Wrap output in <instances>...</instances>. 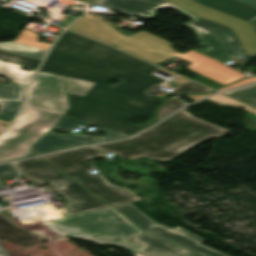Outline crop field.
Masks as SVG:
<instances>
[{
	"label": "crop field",
	"instance_id": "obj_17",
	"mask_svg": "<svg viewBox=\"0 0 256 256\" xmlns=\"http://www.w3.org/2000/svg\"><path fill=\"white\" fill-rule=\"evenodd\" d=\"M0 60L34 68V69H37L38 65L41 63L40 60L28 58L25 56L13 54V53L2 51V50H0Z\"/></svg>",
	"mask_w": 256,
	"mask_h": 256
},
{
	"label": "crop field",
	"instance_id": "obj_2",
	"mask_svg": "<svg viewBox=\"0 0 256 256\" xmlns=\"http://www.w3.org/2000/svg\"><path fill=\"white\" fill-rule=\"evenodd\" d=\"M96 5L152 17L157 8L172 6L195 20L185 24L198 31L204 54L225 60L238 53L256 56V8L236 0H98Z\"/></svg>",
	"mask_w": 256,
	"mask_h": 256
},
{
	"label": "crop field",
	"instance_id": "obj_24",
	"mask_svg": "<svg viewBox=\"0 0 256 256\" xmlns=\"http://www.w3.org/2000/svg\"><path fill=\"white\" fill-rule=\"evenodd\" d=\"M213 93H215V92H212V93H210V94H208V95H211V94H213ZM208 95H186V96H188V97H190L191 99L197 101V100H199V99H201V98H204V97H206V96H208Z\"/></svg>",
	"mask_w": 256,
	"mask_h": 256
},
{
	"label": "crop field",
	"instance_id": "obj_26",
	"mask_svg": "<svg viewBox=\"0 0 256 256\" xmlns=\"http://www.w3.org/2000/svg\"><path fill=\"white\" fill-rule=\"evenodd\" d=\"M158 69V68H157ZM156 70V69H155ZM154 71V70H153ZM152 71V72H153ZM153 80H154V83L155 84H161V83H163V82H165L164 80H162V79H160V78H157V77H155V76H153Z\"/></svg>",
	"mask_w": 256,
	"mask_h": 256
},
{
	"label": "crop field",
	"instance_id": "obj_16",
	"mask_svg": "<svg viewBox=\"0 0 256 256\" xmlns=\"http://www.w3.org/2000/svg\"><path fill=\"white\" fill-rule=\"evenodd\" d=\"M224 94L256 107V84L224 92Z\"/></svg>",
	"mask_w": 256,
	"mask_h": 256
},
{
	"label": "crop field",
	"instance_id": "obj_28",
	"mask_svg": "<svg viewBox=\"0 0 256 256\" xmlns=\"http://www.w3.org/2000/svg\"><path fill=\"white\" fill-rule=\"evenodd\" d=\"M133 106H137V107H139V106H142V104H140L139 102L138 103H136L135 105H133Z\"/></svg>",
	"mask_w": 256,
	"mask_h": 256
},
{
	"label": "crop field",
	"instance_id": "obj_12",
	"mask_svg": "<svg viewBox=\"0 0 256 256\" xmlns=\"http://www.w3.org/2000/svg\"><path fill=\"white\" fill-rule=\"evenodd\" d=\"M147 232L204 256H228L225 253L200 244L205 239L179 226L171 229L166 226L157 224Z\"/></svg>",
	"mask_w": 256,
	"mask_h": 256
},
{
	"label": "crop field",
	"instance_id": "obj_1",
	"mask_svg": "<svg viewBox=\"0 0 256 256\" xmlns=\"http://www.w3.org/2000/svg\"><path fill=\"white\" fill-rule=\"evenodd\" d=\"M155 68L114 48L66 32L41 70L96 82L85 97L68 94L71 108L66 116L130 135L152 123L164 101L144 94L155 85L151 74ZM111 78L124 81L113 87L105 85ZM138 101L144 106H131ZM142 116L152 121L139 126L130 123Z\"/></svg>",
	"mask_w": 256,
	"mask_h": 256
},
{
	"label": "crop field",
	"instance_id": "obj_18",
	"mask_svg": "<svg viewBox=\"0 0 256 256\" xmlns=\"http://www.w3.org/2000/svg\"><path fill=\"white\" fill-rule=\"evenodd\" d=\"M94 83L66 78V89L70 94L85 96Z\"/></svg>",
	"mask_w": 256,
	"mask_h": 256
},
{
	"label": "crop field",
	"instance_id": "obj_5",
	"mask_svg": "<svg viewBox=\"0 0 256 256\" xmlns=\"http://www.w3.org/2000/svg\"><path fill=\"white\" fill-rule=\"evenodd\" d=\"M59 219L42 222L62 236L82 237L104 245L121 246L131 252L141 246L130 240L143 231L112 207L67 217V209L58 210Z\"/></svg>",
	"mask_w": 256,
	"mask_h": 256
},
{
	"label": "crop field",
	"instance_id": "obj_14",
	"mask_svg": "<svg viewBox=\"0 0 256 256\" xmlns=\"http://www.w3.org/2000/svg\"><path fill=\"white\" fill-rule=\"evenodd\" d=\"M131 241L141 245L138 251L148 256H201L146 232Z\"/></svg>",
	"mask_w": 256,
	"mask_h": 256
},
{
	"label": "crop field",
	"instance_id": "obj_8",
	"mask_svg": "<svg viewBox=\"0 0 256 256\" xmlns=\"http://www.w3.org/2000/svg\"><path fill=\"white\" fill-rule=\"evenodd\" d=\"M13 163L32 184L53 180L68 199V216L109 206L38 157Z\"/></svg>",
	"mask_w": 256,
	"mask_h": 256
},
{
	"label": "crop field",
	"instance_id": "obj_10",
	"mask_svg": "<svg viewBox=\"0 0 256 256\" xmlns=\"http://www.w3.org/2000/svg\"><path fill=\"white\" fill-rule=\"evenodd\" d=\"M80 125L90 126L91 124L64 116L49 134H47L43 139H41L38 143L35 144L32 155L41 154L76 144L100 141L94 136L72 135L70 133L71 130ZM55 129L67 130L69 133L66 135L59 136L53 132ZM100 131L107 132L103 136H99V138L103 141L128 136L101 127Z\"/></svg>",
	"mask_w": 256,
	"mask_h": 256
},
{
	"label": "crop field",
	"instance_id": "obj_20",
	"mask_svg": "<svg viewBox=\"0 0 256 256\" xmlns=\"http://www.w3.org/2000/svg\"><path fill=\"white\" fill-rule=\"evenodd\" d=\"M210 91L212 90L189 80L185 84L177 88L175 91H173V93L190 94V93H208Z\"/></svg>",
	"mask_w": 256,
	"mask_h": 256
},
{
	"label": "crop field",
	"instance_id": "obj_11",
	"mask_svg": "<svg viewBox=\"0 0 256 256\" xmlns=\"http://www.w3.org/2000/svg\"><path fill=\"white\" fill-rule=\"evenodd\" d=\"M22 66L0 61V74L8 79L28 85L34 70L29 72L20 69ZM25 87L12 81L6 85L0 83V118L12 121L21 105Z\"/></svg>",
	"mask_w": 256,
	"mask_h": 256
},
{
	"label": "crop field",
	"instance_id": "obj_27",
	"mask_svg": "<svg viewBox=\"0 0 256 256\" xmlns=\"http://www.w3.org/2000/svg\"><path fill=\"white\" fill-rule=\"evenodd\" d=\"M242 1L247 2V3H250V4L256 6V0H242ZM255 23H256V22H255Z\"/></svg>",
	"mask_w": 256,
	"mask_h": 256
},
{
	"label": "crop field",
	"instance_id": "obj_9",
	"mask_svg": "<svg viewBox=\"0 0 256 256\" xmlns=\"http://www.w3.org/2000/svg\"><path fill=\"white\" fill-rule=\"evenodd\" d=\"M64 77L38 72L27 93V105L65 113L69 108Z\"/></svg>",
	"mask_w": 256,
	"mask_h": 256
},
{
	"label": "crop field",
	"instance_id": "obj_23",
	"mask_svg": "<svg viewBox=\"0 0 256 256\" xmlns=\"http://www.w3.org/2000/svg\"><path fill=\"white\" fill-rule=\"evenodd\" d=\"M256 81V78L252 77V78H249V79H245V80H241L239 82H236L232 85H229L223 89H220L218 91H223V90H226V89H230V88H233V87H236V86H240V85H244V84H248V83H251V82H254Z\"/></svg>",
	"mask_w": 256,
	"mask_h": 256
},
{
	"label": "crop field",
	"instance_id": "obj_13",
	"mask_svg": "<svg viewBox=\"0 0 256 256\" xmlns=\"http://www.w3.org/2000/svg\"><path fill=\"white\" fill-rule=\"evenodd\" d=\"M50 45L40 42L38 34L24 28L14 41L0 42V49L42 60Z\"/></svg>",
	"mask_w": 256,
	"mask_h": 256
},
{
	"label": "crop field",
	"instance_id": "obj_22",
	"mask_svg": "<svg viewBox=\"0 0 256 256\" xmlns=\"http://www.w3.org/2000/svg\"><path fill=\"white\" fill-rule=\"evenodd\" d=\"M18 175L17 170L14 168L11 164H2L0 165V179L1 178H7V177H13ZM0 188H2L0 184Z\"/></svg>",
	"mask_w": 256,
	"mask_h": 256
},
{
	"label": "crop field",
	"instance_id": "obj_6",
	"mask_svg": "<svg viewBox=\"0 0 256 256\" xmlns=\"http://www.w3.org/2000/svg\"><path fill=\"white\" fill-rule=\"evenodd\" d=\"M100 155H103V153L93 147H80L42 156L41 158L65 172L112 206L139 200L129 190L112 186L101 175L89 173L95 168L88 159Z\"/></svg>",
	"mask_w": 256,
	"mask_h": 256
},
{
	"label": "crop field",
	"instance_id": "obj_21",
	"mask_svg": "<svg viewBox=\"0 0 256 256\" xmlns=\"http://www.w3.org/2000/svg\"><path fill=\"white\" fill-rule=\"evenodd\" d=\"M183 105L185 104H183L180 99L172 97L165 102L161 109L159 108L160 110L158 111L156 118L161 120L162 118Z\"/></svg>",
	"mask_w": 256,
	"mask_h": 256
},
{
	"label": "crop field",
	"instance_id": "obj_25",
	"mask_svg": "<svg viewBox=\"0 0 256 256\" xmlns=\"http://www.w3.org/2000/svg\"><path fill=\"white\" fill-rule=\"evenodd\" d=\"M41 184H49L52 188H54L61 196H63L61 194V192L58 190V188L56 187V185L54 184L53 181H50V182H46V183H41ZM64 197V196H63ZM65 198V197H64ZM66 199V198H65ZM69 208V207H68Z\"/></svg>",
	"mask_w": 256,
	"mask_h": 256
},
{
	"label": "crop field",
	"instance_id": "obj_7",
	"mask_svg": "<svg viewBox=\"0 0 256 256\" xmlns=\"http://www.w3.org/2000/svg\"><path fill=\"white\" fill-rule=\"evenodd\" d=\"M62 115L24 105L13 126L0 136V162L30 155L32 145L48 133Z\"/></svg>",
	"mask_w": 256,
	"mask_h": 256
},
{
	"label": "crop field",
	"instance_id": "obj_29",
	"mask_svg": "<svg viewBox=\"0 0 256 256\" xmlns=\"http://www.w3.org/2000/svg\"><path fill=\"white\" fill-rule=\"evenodd\" d=\"M0 256H4V254L2 253V251L0 250Z\"/></svg>",
	"mask_w": 256,
	"mask_h": 256
},
{
	"label": "crop field",
	"instance_id": "obj_4",
	"mask_svg": "<svg viewBox=\"0 0 256 256\" xmlns=\"http://www.w3.org/2000/svg\"><path fill=\"white\" fill-rule=\"evenodd\" d=\"M228 131L199 120L182 109L131 139L96 147L126 159L147 156L150 159L167 161L210 137L218 138Z\"/></svg>",
	"mask_w": 256,
	"mask_h": 256
},
{
	"label": "crop field",
	"instance_id": "obj_3",
	"mask_svg": "<svg viewBox=\"0 0 256 256\" xmlns=\"http://www.w3.org/2000/svg\"><path fill=\"white\" fill-rule=\"evenodd\" d=\"M69 28L108 44L116 45L155 64L178 56L192 63L186 68L221 84H228L246 77L243 73L197 52L189 51L180 54L172 49L170 42L149 32L139 31L127 37L100 16L86 14Z\"/></svg>",
	"mask_w": 256,
	"mask_h": 256
},
{
	"label": "crop field",
	"instance_id": "obj_19",
	"mask_svg": "<svg viewBox=\"0 0 256 256\" xmlns=\"http://www.w3.org/2000/svg\"><path fill=\"white\" fill-rule=\"evenodd\" d=\"M209 100L219 104V105H231V106H243L246 108V110L255 113L256 114V108H253L245 103H242L238 100H235L233 98L227 97L225 95L219 94L216 96H213L211 98H208Z\"/></svg>",
	"mask_w": 256,
	"mask_h": 256
},
{
	"label": "crop field",
	"instance_id": "obj_15",
	"mask_svg": "<svg viewBox=\"0 0 256 256\" xmlns=\"http://www.w3.org/2000/svg\"><path fill=\"white\" fill-rule=\"evenodd\" d=\"M114 207L145 231L157 224L130 203Z\"/></svg>",
	"mask_w": 256,
	"mask_h": 256
}]
</instances>
